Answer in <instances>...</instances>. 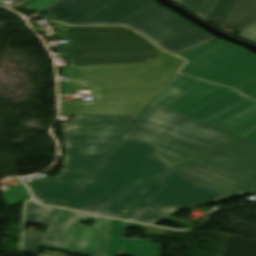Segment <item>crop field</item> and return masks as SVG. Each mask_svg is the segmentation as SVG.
<instances>
[{"label": "crop field", "mask_w": 256, "mask_h": 256, "mask_svg": "<svg viewBox=\"0 0 256 256\" xmlns=\"http://www.w3.org/2000/svg\"><path fill=\"white\" fill-rule=\"evenodd\" d=\"M155 149L124 136L64 207L154 225L184 208L230 198L185 179L153 156ZM123 209L142 215L122 216Z\"/></svg>", "instance_id": "1"}, {"label": "crop field", "mask_w": 256, "mask_h": 256, "mask_svg": "<svg viewBox=\"0 0 256 256\" xmlns=\"http://www.w3.org/2000/svg\"><path fill=\"white\" fill-rule=\"evenodd\" d=\"M188 59L152 105L243 135L256 128V56L218 40L178 55ZM243 138L256 141V131Z\"/></svg>", "instance_id": "2"}, {"label": "crop field", "mask_w": 256, "mask_h": 256, "mask_svg": "<svg viewBox=\"0 0 256 256\" xmlns=\"http://www.w3.org/2000/svg\"><path fill=\"white\" fill-rule=\"evenodd\" d=\"M182 62L162 52L154 63L63 67V75L92 89L95 100L62 101V115L139 116Z\"/></svg>", "instance_id": "3"}, {"label": "crop field", "mask_w": 256, "mask_h": 256, "mask_svg": "<svg viewBox=\"0 0 256 256\" xmlns=\"http://www.w3.org/2000/svg\"><path fill=\"white\" fill-rule=\"evenodd\" d=\"M41 12L70 25L124 24L173 54L216 39L152 0H56Z\"/></svg>", "instance_id": "4"}, {"label": "crop field", "mask_w": 256, "mask_h": 256, "mask_svg": "<svg viewBox=\"0 0 256 256\" xmlns=\"http://www.w3.org/2000/svg\"><path fill=\"white\" fill-rule=\"evenodd\" d=\"M179 115L150 105L125 135L192 159L237 137ZM199 160L256 181V142L241 138Z\"/></svg>", "instance_id": "5"}, {"label": "crop field", "mask_w": 256, "mask_h": 256, "mask_svg": "<svg viewBox=\"0 0 256 256\" xmlns=\"http://www.w3.org/2000/svg\"><path fill=\"white\" fill-rule=\"evenodd\" d=\"M136 118L76 116V124H62L64 168L50 181L29 185L34 196L65 203Z\"/></svg>", "instance_id": "6"}, {"label": "crop field", "mask_w": 256, "mask_h": 256, "mask_svg": "<svg viewBox=\"0 0 256 256\" xmlns=\"http://www.w3.org/2000/svg\"><path fill=\"white\" fill-rule=\"evenodd\" d=\"M58 54L71 66L154 62L162 50L126 27H69Z\"/></svg>", "instance_id": "7"}, {"label": "crop field", "mask_w": 256, "mask_h": 256, "mask_svg": "<svg viewBox=\"0 0 256 256\" xmlns=\"http://www.w3.org/2000/svg\"><path fill=\"white\" fill-rule=\"evenodd\" d=\"M93 217L94 227L81 225ZM110 219L60 209L41 246L88 256H105Z\"/></svg>", "instance_id": "8"}, {"label": "crop field", "mask_w": 256, "mask_h": 256, "mask_svg": "<svg viewBox=\"0 0 256 256\" xmlns=\"http://www.w3.org/2000/svg\"><path fill=\"white\" fill-rule=\"evenodd\" d=\"M174 169L189 180L232 197L256 193V182L197 160Z\"/></svg>", "instance_id": "9"}, {"label": "crop field", "mask_w": 256, "mask_h": 256, "mask_svg": "<svg viewBox=\"0 0 256 256\" xmlns=\"http://www.w3.org/2000/svg\"><path fill=\"white\" fill-rule=\"evenodd\" d=\"M204 20L240 32L256 22V0H217Z\"/></svg>", "instance_id": "10"}, {"label": "crop field", "mask_w": 256, "mask_h": 256, "mask_svg": "<svg viewBox=\"0 0 256 256\" xmlns=\"http://www.w3.org/2000/svg\"><path fill=\"white\" fill-rule=\"evenodd\" d=\"M124 227L145 229L146 226L111 219L108 248L106 256L116 253L128 256H160L163 245L151 244L150 239H122Z\"/></svg>", "instance_id": "11"}, {"label": "crop field", "mask_w": 256, "mask_h": 256, "mask_svg": "<svg viewBox=\"0 0 256 256\" xmlns=\"http://www.w3.org/2000/svg\"><path fill=\"white\" fill-rule=\"evenodd\" d=\"M32 207L33 201H29L25 223L49 225L43 236L24 233L22 250L35 252L40 246L59 209L53 208L51 213H40L41 215H38V213H32Z\"/></svg>", "instance_id": "12"}, {"label": "crop field", "mask_w": 256, "mask_h": 256, "mask_svg": "<svg viewBox=\"0 0 256 256\" xmlns=\"http://www.w3.org/2000/svg\"><path fill=\"white\" fill-rule=\"evenodd\" d=\"M196 15L205 17L216 0H173Z\"/></svg>", "instance_id": "13"}, {"label": "crop field", "mask_w": 256, "mask_h": 256, "mask_svg": "<svg viewBox=\"0 0 256 256\" xmlns=\"http://www.w3.org/2000/svg\"><path fill=\"white\" fill-rule=\"evenodd\" d=\"M153 155H155L157 158L162 160L164 163H166L168 166L172 167L177 164L186 162L188 160H191L189 158L177 155L175 153L163 150L158 148L156 151L153 152Z\"/></svg>", "instance_id": "14"}, {"label": "crop field", "mask_w": 256, "mask_h": 256, "mask_svg": "<svg viewBox=\"0 0 256 256\" xmlns=\"http://www.w3.org/2000/svg\"><path fill=\"white\" fill-rule=\"evenodd\" d=\"M3 195L10 206L31 199V196L25 186L3 192Z\"/></svg>", "instance_id": "15"}, {"label": "crop field", "mask_w": 256, "mask_h": 256, "mask_svg": "<svg viewBox=\"0 0 256 256\" xmlns=\"http://www.w3.org/2000/svg\"><path fill=\"white\" fill-rule=\"evenodd\" d=\"M78 87L79 84L76 82H65L61 84V92L62 94H67V95H76L78 94Z\"/></svg>", "instance_id": "16"}, {"label": "crop field", "mask_w": 256, "mask_h": 256, "mask_svg": "<svg viewBox=\"0 0 256 256\" xmlns=\"http://www.w3.org/2000/svg\"><path fill=\"white\" fill-rule=\"evenodd\" d=\"M237 36L245 38L247 40H254L256 39V25L250 27L249 29L243 31L242 33L238 34Z\"/></svg>", "instance_id": "17"}, {"label": "crop field", "mask_w": 256, "mask_h": 256, "mask_svg": "<svg viewBox=\"0 0 256 256\" xmlns=\"http://www.w3.org/2000/svg\"><path fill=\"white\" fill-rule=\"evenodd\" d=\"M55 0H36L29 4L30 7L40 11Z\"/></svg>", "instance_id": "18"}, {"label": "crop field", "mask_w": 256, "mask_h": 256, "mask_svg": "<svg viewBox=\"0 0 256 256\" xmlns=\"http://www.w3.org/2000/svg\"><path fill=\"white\" fill-rule=\"evenodd\" d=\"M51 207H44L34 202L33 212H51Z\"/></svg>", "instance_id": "19"}, {"label": "crop field", "mask_w": 256, "mask_h": 256, "mask_svg": "<svg viewBox=\"0 0 256 256\" xmlns=\"http://www.w3.org/2000/svg\"><path fill=\"white\" fill-rule=\"evenodd\" d=\"M177 57H178V56H177ZM182 59H183V58H182ZM183 60H185V61L187 62V60H186V59H183ZM186 62H185V63H186ZM185 63H184V64H185ZM184 64L180 67V69L184 66ZM180 69H179V70H180ZM179 70H178V72H177V73H179ZM220 86H221V85H220ZM224 87H225V86H224ZM227 88H228V87H227ZM230 89H231V88H230ZM233 90H234V89H233Z\"/></svg>", "instance_id": "20"}, {"label": "crop field", "mask_w": 256, "mask_h": 256, "mask_svg": "<svg viewBox=\"0 0 256 256\" xmlns=\"http://www.w3.org/2000/svg\"><path fill=\"white\" fill-rule=\"evenodd\" d=\"M256 130V129H255ZM254 131V130H253ZM252 132V131H251ZM250 133V132H249ZM246 135V134H245ZM244 136V135H243ZM242 137V136H241Z\"/></svg>", "instance_id": "21"}, {"label": "crop field", "mask_w": 256, "mask_h": 256, "mask_svg": "<svg viewBox=\"0 0 256 256\" xmlns=\"http://www.w3.org/2000/svg\"><path fill=\"white\" fill-rule=\"evenodd\" d=\"M253 42H255V43H256V40H254Z\"/></svg>", "instance_id": "22"}]
</instances>
